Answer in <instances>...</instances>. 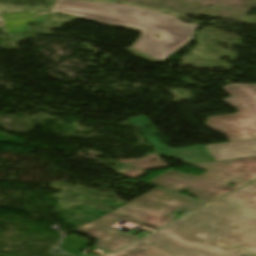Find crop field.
<instances>
[{
  "label": "crop field",
  "instance_id": "8a807250",
  "mask_svg": "<svg viewBox=\"0 0 256 256\" xmlns=\"http://www.w3.org/2000/svg\"><path fill=\"white\" fill-rule=\"evenodd\" d=\"M142 241L167 256H256V182Z\"/></svg>",
  "mask_w": 256,
  "mask_h": 256
},
{
  "label": "crop field",
  "instance_id": "ac0d7876",
  "mask_svg": "<svg viewBox=\"0 0 256 256\" xmlns=\"http://www.w3.org/2000/svg\"><path fill=\"white\" fill-rule=\"evenodd\" d=\"M56 11L141 29L144 35L131 50L154 61L167 58L191 38L196 27V24L182 23L173 16L129 5L95 4L75 0H57L52 11L3 16L8 34L11 35L27 31L26 22L43 21L45 16ZM152 33L160 35L161 39H157Z\"/></svg>",
  "mask_w": 256,
  "mask_h": 256
},
{
  "label": "crop field",
  "instance_id": "34b2d1b8",
  "mask_svg": "<svg viewBox=\"0 0 256 256\" xmlns=\"http://www.w3.org/2000/svg\"><path fill=\"white\" fill-rule=\"evenodd\" d=\"M202 205L204 204L156 188L76 231L97 239L94 246L112 252L139 239V237L108 229L118 219L122 218L135 224L157 229L176 220L167 217L168 214L180 208L190 212Z\"/></svg>",
  "mask_w": 256,
  "mask_h": 256
},
{
  "label": "crop field",
  "instance_id": "412701ff",
  "mask_svg": "<svg viewBox=\"0 0 256 256\" xmlns=\"http://www.w3.org/2000/svg\"><path fill=\"white\" fill-rule=\"evenodd\" d=\"M191 165L207 171L195 176L170 170L149 183L178 193L187 190L209 203L256 179V157Z\"/></svg>",
  "mask_w": 256,
  "mask_h": 256
},
{
  "label": "crop field",
  "instance_id": "f4fd0767",
  "mask_svg": "<svg viewBox=\"0 0 256 256\" xmlns=\"http://www.w3.org/2000/svg\"><path fill=\"white\" fill-rule=\"evenodd\" d=\"M222 88L232 95L225 102L238 113L211 117L206 125L226 134L230 141L256 138V85L230 84Z\"/></svg>",
  "mask_w": 256,
  "mask_h": 256
},
{
  "label": "crop field",
  "instance_id": "dd49c442",
  "mask_svg": "<svg viewBox=\"0 0 256 256\" xmlns=\"http://www.w3.org/2000/svg\"><path fill=\"white\" fill-rule=\"evenodd\" d=\"M130 122L148 140L149 144L155 147V151L159 155L181 158L187 164L214 161L205 146L177 150L165 147L156 139L154 135L158 132L143 115L130 119Z\"/></svg>",
  "mask_w": 256,
  "mask_h": 256
},
{
  "label": "crop field",
  "instance_id": "e52e79f7",
  "mask_svg": "<svg viewBox=\"0 0 256 256\" xmlns=\"http://www.w3.org/2000/svg\"><path fill=\"white\" fill-rule=\"evenodd\" d=\"M216 161L256 156V139L206 146Z\"/></svg>",
  "mask_w": 256,
  "mask_h": 256
},
{
  "label": "crop field",
  "instance_id": "d8731c3e",
  "mask_svg": "<svg viewBox=\"0 0 256 256\" xmlns=\"http://www.w3.org/2000/svg\"><path fill=\"white\" fill-rule=\"evenodd\" d=\"M103 256H165L144 242H137L117 253Z\"/></svg>",
  "mask_w": 256,
  "mask_h": 256
}]
</instances>
